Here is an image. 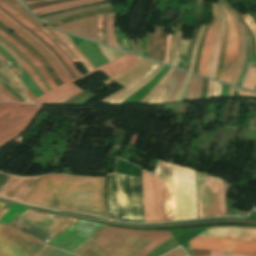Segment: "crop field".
<instances>
[{"label": "crop field", "instance_id": "obj_42", "mask_svg": "<svg viewBox=\"0 0 256 256\" xmlns=\"http://www.w3.org/2000/svg\"><path fill=\"white\" fill-rule=\"evenodd\" d=\"M50 256H75V255L55 249L54 252Z\"/></svg>", "mask_w": 256, "mask_h": 256}, {"label": "crop field", "instance_id": "obj_24", "mask_svg": "<svg viewBox=\"0 0 256 256\" xmlns=\"http://www.w3.org/2000/svg\"><path fill=\"white\" fill-rule=\"evenodd\" d=\"M224 20H225V26H224L222 42H221L220 51H219L217 70H216V74H215V78L219 79V80L221 78V73H222V68H223L225 49H226V43H227V34H228V28H227V22H226L225 16H224Z\"/></svg>", "mask_w": 256, "mask_h": 256}, {"label": "crop field", "instance_id": "obj_3", "mask_svg": "<svg viewBox=\"0 0 256 256\" xmlns=\"http://www.w3.org/2000/svg\"><path fill=\"white\" fill-rule=\"evenodd\" d=\"M0 6L3 9H5L7 12H9L12 16H14L16 19H18L23 25H25L27 28H29L31 31H33L35 34H37L39 37H41L44 41H46L56 51V53L64 60L67 67L70 69V71L76 77L72 81L67 82L65 84H61L57 88L48 92L46 90L44 84L40 80V78L36 75L35 71L22 58H20L13 50H11L5 44H3L4 42L2 43L0 41V43L2 45H4L13 55H15L22 63H24L28 68H30L32 70V72L35 74V76L39 80L40 84L46 90V92H47L46 94H43V95L37 97L36 99L32 100L33 102L43 103V104L62 103L65 100L72 97L73 95L83 91L77 85H75L73 82H76L78 80L89 77L101 70L104 73H106L109 77H111V76L123 71L124 69H126L128 66H130L131 64H133L135 61H137L140 58V57H136V56L126 53L125 55L119 57L117 60H115L111 63H107V64L82 76L81 73L78 71V69L70 61V59L44 33H42L39 29H37L28 20L24 19L17 11H15L6 2L0 0Z\"/></svg>", "mask_w": 256, "mask_h": 256}, {"label": "crop field", "instance_id": "obj_7", "mask_svg": "<svg viewBox=\"0 0 256 256\" xmlns=\"http://www.w3.org/2000/svg\"><path fill=\"white\" fill-rule=\"evenodd\" d=\"M197 173L198 172H196V179H197L199 218H202V214H203V218L222 215L219 213V199H218V184L221 185L220 182H222V186L219 185L220 212L225 214L224 182L219 179L208 177L202 173H198L201 175V179L203 180H208L213 182H215V180L220 181V182L216 181V183L203 181V180H200V175H198L201 205H202V214H201Z\"/></svg>", "mask_w": 256, "mask_h": 256}, {"label": "crop field", "instance_id": "obj_48", "mask_svg": "<svg viewBox=\"0 0 256 256\" xmlns=\"http://www.w3.org/2000/svg\"><path fill=\"white\" fill-rule=\"evenodd\" d=\"M233 90H234V88L230 86L229 97H232V96H233Z\"/></svg>", "mask_w": 256, "mask_h": 256}, {"label": "crop field", "instance_id": "obj_18", "mask_svg": "<svg viewBox=\"0 0 256 256\" xmlns=\"http://www.w3.org/2000/svg\"><path fill=\"white\" fill-rule=\"evenodd\" d=\"M8 4H10L14 9H16L22 16L31 21L36 27H38L41 31H43L71 60L73 63H77L78 61L75 57L70 53V51L61 44L44 26L42 23L37 21L28 11H26L17 0H4Z\"/></svg>", "mask_w": 256, "mask_h": 256}, {"label": "crop field", "instance_id": "obj_28", "mask_svg": "<svg viewBox=\"0 0 256 256\" xmlns=\"http://www.w3.org/2000/svg\"><path fill=\"white\" fill-rule=\"evenodd\" d=\"M96 41L106 44L105 38V15H99L97 19Z\"/></svg>", "mask_w": 256, "mask_h": 256}, {"label": "crop field", "instance_id": "obj_22", "mask_svg": "<svg viewBox=\"0 0 256 256\" xmlns=\"http://www.w3.org/2000/svg\"><path fill=\"white\" fill-rule=\"evenodd\" d=\"M0 35L5 38L8 42H10L12 45H14L22 54H24L33 64L34 66L39 70V72L44 77L46 83L50 86L51 89L56 87L55 83L51 80V78L48 76L45 68L20 44L12 40L10 37L5 35L3 32L0 31Z\"/></svg>", "mask_w": 256, "mask_h": 256}, {"label": "crop field", "instance_id": "obj_1", "mask_svg": "<svg viewBox=\"0 0 256 256\" xmlns=\"http://www.w3.org/2000/svg\"><path fill=\"white\" fill-rule=\"evenodd\" d=\"M104 181L98 177L44 175L24 202L109 219L103 200Z\"/></svg>", "mask_w": 256, "mask_h": 256}, {"label": "crop field", "instance_id": "obj_32", "mask_svg": "<svg viewBox=\"0 0 256 256\" xmlns=\"http://www.w3.org/2000/svg\"><path fill=\"white\" fill-rule=\"evenodd\" d=\"M145 59L141 58L140 60H138L136 63H134L133 65H131L130 67H128L126 70H124L123 72L109 78L108 80L102 82L104 84H109L111 81L123 76L124 74H126L128 71L132 70L133 68H135L136 66H138L140 63H142Z\"/></svg>", "mask_w": 256, "mask_h": 256}, {"label": "crop field", "instance_id": "obj_36", "mask_svg": "<svg viewBox=\"0 0 256 256\" xmlns=\"http://www.w3.org/2000/svg\"><path fill=\"white\" fill-rule=\"evenodd\" d=\"M99 50L101 51L102 55L108 60L111 61L115 59L116 57L112 54V52L109 50V48L98 45Z\"/></svg>", "mask_w": 256, "mask_h": 256}, {"label": "crop field", "instance_id": "obj_34", "mask_svg": "<svg viewBox=\"0 0 256 256\" xmlns=\"http://www.w3.org/2000/svg\"><path fill=\"white\" fill-rule=\"evenodd\" d=\"M186 75H187V73L184 72L183 75H182V77L180 78L178 84L176 85V87H175L173 93L171 94V96H170V98H169V100H168L167 103L174 102L175 96H176V94L178 93V91H179L181 85L183 84V82H184V80H185V78H186ZM176 97H177V96H176Z\"/></svg>", "mask_w": 256, "mask_h": 256}, {"label": "crop field", "instance_id": "obj_41", "mask_svg": "<svg viewBox=\"0 0 256 256\" xmlns=\"http://www.w3.org/2000/svg\"><path fill=\"white\" fill-rule=\"evenodd\" d=\"M165 256H187V255L184 253V251L181 248H179Z\"/></svg>", "mask_w": 256, "mask_h": 256}, {"label": "crop field", "instance_id": "obj_25", "mask_svg": "<svg viewBox=\"0 0 256 256\" xmlns=\"http://www.w3.org/2000/svg\"><path fill=\"white\" fill-rule=\"evenodd\" d=\"M162 67H163V65L159 64L157 66V68L144 81H142L139 85H137L136 87H134L133 89H131L130 91H128L127 93H125L124 95H122L121 97L116 99L115 101H113L111 104H120L121 102H123L130 95H132L135 91H137L139 88H141L142 86L147 84L159 72V70Z\"/></svg>", "mask_w": 256, "mask_h": 256}, {"label": "crop field", "instance_id": "obj_40", "mask_svg": "<svg viewBox=\"0 0 256 256\" xmlns=\"http://www.w3.org/2000/svg\"><path fill=\"white\" fill-rule=\"evenodd\" d=\"M18 60V59H17ZM19 64L29 73V75L35 80V82L38 84V86L42 89V91L45 93L44 89L41 87V85L39 84V82L37 81L36 77L33 75V73L25 66L23 65L19 60H18Z\"/></svg>", "mask_w": 256, "mask_h": 256}, {"label": "crop field", "instance_id": "obj_6", "mask_svg": "<svg viewBox=\"0 0 256 256\" xmlns=\"http://www.w3.org/2000/svg\"><path fill=\"white\" fill-rule=\"evenodd\" d=\"M12 103H0V120ZM42 105L13 103L0 121V147L18 136Z\"/></svg>", "mask_w": 256, "mask_h": 256}, {"label": "crop field", "instance_id": "obj_52", "mask_svg": "<svg viewBox=\"0 0 256 256\" xmlns=\"http://www.w3.org/2000/svg\"><path fill=\"white\" fill-rule=\"evenodd\" d=\"M23 1H27V0H23Z\"/></svg>", "mask_w": 256, "mask_h": 256}, {"label": "crop field", "instance_id": "obj_39", "mask_svg": "<svg viewBox=\"0 0 256 256\" xmlns=\"http://www.w3.org/2000/svg\"><path fill=\"white\" fill-rule=\"evenodd\" d=\"M201 82H202V78L198 76L197 85H196V91H195V95H194L193 99H200Z\"/></svg>", "mask_w": 256, "mask_h": 256}, {"label": "crop field", "instance_id": "obj_44", "mask_svg": "<svg viewBox=\"0 0 256 256\" xmlns=\"http://www.w3.org/2000/svg\"><path fill=\"white\" fill-rule=\"evenodd\" d=\"M239 95H243V96H250V97H255L256 98V94L252 93V92H248L245 90H240Z\"/></svg>", "mask_w": 256, "mask_h": 256}, {"label": "crop field", "instance_id": "obj_21", "mask_svg": "<svg viewBox=\"0 0 256 256\" xmlns=\"http://www.w3.org/2000/svg\"><path fill=\"white\" fill-rule=\"evenodd\" d=\"M47 28L60 42H62L71 51V53L78 59V61L84 66L87 71L94 69V67L87 61V59L76 49V47L66 34L51 29L49 27Z\"/></svg>", "mask_w": 256, "mask_h": 256}, {"label": "crop field", "instance_id": "obj_12", "mask_svg": "<svg viewBox=\"0 0 256 256\" xmlns=\"http://www.w3.org/2000/svg\"><path fill=\"white\" fill-rule=\"evenodd\" d=\"M223 7H224V11L226 13V17L228 21L229 35H228L225 63H224L221 80L230 83L233 75V71H234L235 62H236L238 35L226 5L223 4Z\"/></svg>", "mask_w": 256, "mask_h": 256}, {"label": "crop field", "instance_id": "obj_38", "mask_svg": "<svg viewBox=\"0 0 256 256\" xmlns=\"http://www.w3.org/2000/svg\"><path fill=\"white\" fill-rule=\"evenodd\" d=\"M102 1H108V0H99V1L89 2V3L78 4V5H74V6H70V7H65V8H61V9H57V10H52V11L36 14V16L45 15V14H49V13H53V12L73 8V7L80 6V5H86V4L97 3V2H102Z\"/></svg>", "mask_w": 256, "mask_h": 256}, {"label": "crop field", "instance_id": "obj_5", "mask_svg": "<svg viewBox=\"0 0 256 256\" xmlns=\"http://www.w3.org/2000/svg\"><path fill=\"white\" fill-rule=\"evenodd\" d=\"M175 220L196 218L194 171L172 165Z\"/></svg>", "mask_w": 256, "mask_h": 256}, {"label": "crop field", "instance_id": "obj_51", "mask_svg": "<svg viewBox=\"0 0 256 256\" xmlns=\"http://www.w3.org/2000/svg\"><path fill=\"white\" fill-rule=\"evenodd\" d=\"M251 62H256V56H252V61Z\"/></svg>", "mask_w": 256, "mask_h": 256}, {"label": "crop field", "instance_id": "obj_45", "mask_svg": "<svg viewBox=\"0 0 256 256\" xmlns=\"http://www.w3.org/2000/svg\"><path fill=\"white\" fill-rule=\"evenodd\" d=\"M47 1H53V0H35V1H27L25 2L26 5L33 4V3H39V2H47Z\"/></svg>", "mask_w": 256, "mask_h": 256}, {"label": "crop field", "instance_id": "obj_26", "mask_svg": "<svg viewBox=\"0 0 256 256\" xmlns=\"http://www.w3.org/2000/svg\"><path fill=\"white\" fill-rule=\"evenodd\" d=\"M160 51V36L158 27L155 28V34H151V58L158 60Z\"/></svg>", "mask_w": 256, "mask_h": 256}, {"label": "crop field", "instance_id": "obj_11", "mask_svg": "<svg viewBox=\"0 0 256 256\" xmlns=\"http://www.w3.org/2000/svg\"><path fill=\"white\" fill-rule=\"evenodd\" d=\"M188 242L191 248L256 254V242L202 237H196Z\"/></svg>", "mask_w": 256, "mask_h": 256}, {"label": "crop field", "instance_id": "obj_50", "mask_svg": "<svg viewBox=\"0 0 256 256\" xmlns=\"http://www.w3.org/2000/svg\"><path fill=\"white\" fill-rule=\"evenodd\" d=\"M0 60H2L4 63L8 62L4 57L0 55Z\"/></svg>", "mask_w": 256, "mask_h": 256}, {"label": "crop field", "instance_id": "obj_16", "mask_svg": "<svg viewBox=\"0 0 256 256\" xmlns=\"http://www.w3.org/2000/svg\"><path fill=\"white\" fill-rule=\"evenodd\" d=\"M164 221L174 220L171 165L161 162Z\"/></svg>", "mask_w": 256, "mask_h": 256}, {"label": "crop field", "instance_id": "obj_49", "mask_svg": "<svg viewBox=\"0 0 256 256\" xmlns=\"http://www.w3.org/2000/svg\"><path fill=\"white\" fill-rule=\"evenodd\" d=\"M256 67V63H251L249 68H255ZM255 91H256V88H255Z\"/></svg>", "mask_w": 256, "mask_h": 256}, {"label": "crop field", "instance_id": "obj_17", "mask_svg": "<svg viewBox=\"0 0 256 256\" xmlns=\"http://www.w3.org/2000/svg\"><path fill=\"white\" fill-rule=\"evenodd\" d=\"M95 27L96 16L81 19L55 28L95 41Z\"/></svg>", "mask_w": 256, "mask_h": 256}, {"label": "crop field", "instance_id": "obj_10", "mask_svg": "<svg viewBox=\"0 0 256 256\" xmlns=\"http://www.w3.org/2000/svg\"><path fill=\"white\" fill-rule=\"evenodd\" d=\"M104 225L80 220L48 244L70 252Z\"/></svg>", "mask_w": 256, "mask_h": 256}, {"label": "crop field", "instance_id": "obj_31", "mask_svg": "<svg viewBox=\"0 0 256 256\" xmlns=\"http://www.w3.org/2000/svg\"><path fill=\"white\" fill-rule=\"evenodd\" d=\"M89 1H94V0H77V1L68 2V3L56 4V5L40 8V9H33L31 11L33 14H36V13H40V12H44L52 9H57V8H61V7H65V6H69L77 3L89 2Z\"/></svg>", "mask_w": 256, "mask_h": 256}, {"label": "crop field", "instance_id": "obj_47", "mask_svg": "<svg viewBox=\"0 0 256 256\" xmlns=\"http://www.w3.org/2000/svg\"><path fill=\"white\" fill-rule=\"evenodd\" d=\"M0 99H9V98H7L2 93H0ZM2 101H12V100H2Z\"/></svg>", "mask_w": 256, "mask_h": 256}, {"label": "crop field", "instance_id": "obj_35", "mask_svg": "<svg viewBox=\"0 0 256 256\" xmlns=\"http://www.w3.org/2000/svg\"><path fill=\"white\" fill-rule=\"evenodd\" d=\"M0 13H2L6 18H8L10 21H12L14 24H16L18 27H20L21 29H23L25 32H27L29 35H31L28 31H26L23 27H21L19 24H17L15 21H13L11 18H9L6 14H4L1 10ZM32 36V35H31ZM33 37V36H32ZM35 38V37H33ZM36 39V38H35ZM34 39V40H35ZM37 40V39H36ZM38 41V40H37ZM39 42V41H38ZM40 43V42H39ZM43 47H45L42 43H40ZM46 48V47H45ZM47 49V48H46ZM48 50V49H47ZM49 51V50H48ZM50 52V51H49ZM51 53V52H50ZM52 54V53H51ZM53 55V54H52ZM54 56V55H53ZM54 58L57 60V62L59 63V65L61 66V68L64 70V72L67 74V76L70 78L68 72L66 71V69L63 67V65L59 62V60L54 56Z\"/></svg>", "mask_w": 256, "mask_h": 256}, {"label": "crop field", "instance_id": "obj_23", "mask_svg": "<svg viewBox=\"0 0 256 256\" xmlns=\"http://www.w3.org/2000/svg\"><path fill=\"white\" fill-rule=\"evenodd\" d=\"M157 65H158L157 63H154V65L150 69H148L143 75H141L138 79L134 80L132 83H130L129 85L125 86L124 88H122L121 90L117 91L116 93L112 94L111 96L107 97L106 99H104L101 102L108 104L111 101L115 100L116 98L121 96L123 93H125L126 91L131 89L133 86H135L137 83L142 81L144 78H146L155 69V67Z\"/></svg>", "mask_w": 256, "mask_h": 256}, {"label": "crop field", "instance_id": "obj_29", "mask_svg": "<svg viewBox=\"0 0 256 256\" xmlns=\"http://www.w3.org/2000/svg\"><path fill=\"white\" fill-rule=\"evenodd\" d=\"M242 87L254 90L256 86V69H248Z\"/></svg>", "mask_w": 256, "mask_h": 256}, {"label": "crop field", "instance_id": "obj_43", "mask_svg": "<svg viewBox=\"0 0 256 256\" xmlns=\"http://www.w3.org/2000/svg\"><path fill=\"white\" fill-rule=\"evenodd\" d=\"M0 90L5 93L8 97H10L11 99L15 100V101H20L19 99H17L13 94H11L7 89H5L1 84H0Z\"/></svg>", "mask_w": 256, "mask_h": 256}, {"label": "crop field", "instance_id": "obj_33", "mask_svg": "<svg viewBox=\"0 0 256 256\" xmlns=\"http://www.w3.org/2000/svg\"><path fill=\"white\" fill-rule=\"evenodd\" d=\"M238 12H239V10H238ZM239 14L245 20L246 24L250 28V30L253 33L255 40H256V24L253 22V20L250 18V16L248 14L242 15L240 12H239Z\"/></svg>", "mask_w": 256, "mask_h": 256}, {"label": "crop field", "instance_id": "obj_27", "mask_svg": "<svg viewBox=\"0 0 256 256\" xmlns=\"http://www.w3.org/2000/svg\"><path fill=\"white\" fill-rule=\"evenodd\" d=\"M195 256H209L210 251L192 249ZM210 256H256L252 254L228 253L211 251Z\"/></svg>", "mask_w": 256, "mask_h": 256}, {"label": "crop field", "instance_id": "obj_13", "mask_svg": "<svg viewBox=\"0 0 256 256\" xmlns=\"http://www.w3.org/2000/svg\"><path fill=\"white\" fill-rule=\"evenodd\" d=\"M212 8H213V21L206 36V40H205V44H204V48L201 56L199 71H198L199 74H202L207 77L210 71V60L213 52L215 37L218 30L219 19H220L218 4H212Z\"/></svg>", "mask_w": 256, "mask_h": 256}, {"label": "crop field", "instance_id": "obj_53", "mask_svg": "<svg viewBox=\"0 0 256 256\" xmlns=\"http://www.w3.org/2000/svg\"><path fill=\"white\" fill-rule=\"evenodd\" d=\"M1 174H3V173H1ZM7 175V174H6Z\"/></svg>", "mask_w": 256, "mask_h": 256}, {"label": "crop field", "instance_id": "obj_8", "mask_svg": "<svg viewBox=\"0 0 256 256\" xmlns=\"http://www.w3.org/2000/svg\"><path fill=\"white\" fill-rule=\"evenodd\" d=\"M145 223L163 221L160 162L153 175L142 170Z\"/></svg>", "mask_w": 256, "mask_h": 256}, {"label": "crop field", "instance_id": "obj_15", "mask_svg": "<svg viewBox=\"0 0 256 256\" xmlns=\"http://www.w3.org/2000/svg\"><path fill=\"white\" fill-rule=\"evenodd\" d=\"M0 21L3 24H5L7 27L12 29L17 35H19L23 40L29 43L32 47H34L40 54H42L47 59V61L51 64L55 73L58 75V77L62 80L63 83L66 81H69L68 77L62 71V69L60 68L56 60L53 58V56L46 49H44L36 40H34L27 33L20 30L18 27H16L13 23H11L8 19H6L1 14H0Z\"/></svg>", "mask_w": 256, "mask_h": 256}, {"label": "crop field", "instance_id": "obj_46", "mask_svg": "<svg viewBox=\"0 0 256 256\" xmlns=\"http://www.w3.org/2000/svg\"><path fill=\"white\" fill-rule=\"evenodd\" d=\"M24 87H25V89H26V91H27V94H28L30 100L34 99L35 96L28 90V88H27L25 85H24Z\"/></svg>", "mask_w": 256, "mask_h": 256}, {"label": "crop field", "instance_id": "obj_9", "mask_svg": "<svg viewBox=\"0 0 256 256\" xmlns=\"http://www.w3.org/2000/svg\"><path fill=\"white\" fill-rule=\"evenodd\" d=\"M0 203V210L4 207ZM45 245L0 225V256H37Z\"/></svg>", "mask_w": 256, "mask_h": 256}, {"label": "crop field", "instance_id": "obj_20", "mask_svg": "<svg viewBox=\"0 0 256 256\" xmlns=\"http://www.w3.org/2000/svg\"><path fill=\"white\" fill-rule=\"evenodd\" d=\"M234 23L236 25L237 31H238V35H239V47H238V55H237V63H236V67H235V71H234V75L232 78V84H237L239 75L241 73L242 70V66H243V62H244V55H245V40H244V35L242 32V29L236 19V16L233 12V10L230 11Z\"/></svg>", "mask_w": 256, "mask_h": 256}, {"label": "crop field", "instance_id": "obj_4", "mask_svg": "<svg viewBox=\"0 0 256 256\" xmlns=\"http://www.w3.org/2000/svg\"><path fill=\"white\" fill-rule=\"evenodd\" d=\"M15 221L25 226H28L38 232H41L51 238L49 239V237L38 233L28 227H25ZM77 221L78 219L29 209L8 225L10 226L12 223L15 222L13 225H11V227L34 238H37L43 242L49 239L48 241H46L47 243Z\"/></svg>", "mask_w": 256, "mask_h": 256}, {"label": "crop field", "instance_id": "obj_19", "mask_svg": "<svg viewBox=\"0 0 256 256\" xmlns=\"http://www.w3.org/2000/svg\"><path fill=\"white\" fill-rule=\"evenodd\" d=\"M181 74L182 71L175 69L148 104L166 103Z\"/></svg>", "mask_w": 256, "mask_h": 256}, {"label": "crop field", "instance_id": "obj_37", "mask_svg": "<svg viewBox=\"0 0 256 256\" xmlns=\"http://www.w3.org/2000/svg\"><path fill=\"white\" fill-rule=\"evenodd\" d=\"M196 78H197V76H195V75L192 76L186 100H189V99L193 98L194 90H195V84H196Z\"/></svg>", "mask_w": 256, "mask_h": 256}, {"label": "crop field", "instance_id": "obj_30", "mask_svg": "<svg viewBox=\"0 0 256 256\" xmlns=\"http://www.w3.org/2000/svg\"><path fill=\"white\" fill-rule=\"evenodd\" d=\"M189 42L190 40H182L181 42L180 54H179V60H178L177 66L183 69L185 67Z\"/></svg>", "mask_w": 256, "mask_h": 256}, {"label": "crop field", "instance_id": "obj_2", "mask_svg": "<svg viewBox=\"0 0 256 256\" xmlns=\"http://www.w3.org/2000/svg\"><path fill=\"white\" fill-rule=\"evenodd\" d=\"M169 236L168 231L146 232L106 226L71 253L79 256H144Z\"/></svg>", "mask_w": 256, "mask_h": 256}, {"label": "crop field", "instance_id": "obj_14", "mask_svg": "<svg viewBox=\"0 0 256 256\" xmlns=\"http://www.w3.org/2000/svg\"><path fill=\"white\" fill-rule=\"evenodd\" d=\"M198 236L256 241V228L213 227L206 229Z\"/></svg>", "mask_w": 256, "mask_h": 256}]
</instances>
